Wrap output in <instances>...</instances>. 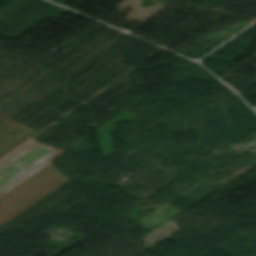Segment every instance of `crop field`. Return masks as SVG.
<instances>
[{
	"instance_id": "ac0d7876",
	"label": "crop field",
	"mask_w": 256,
	"mask_h": 256,
	"mask_svg": "<svg viewBox=\"0 0 256 256\" xmlns=\"http://www.w3.org/2000/svg\"><path fill=\"white\" fill-rule=\"evenodd\" d=\"M59 156V155H58ZM58 156L21 145L0 160V197L50 164Z\"/></svg>"
},
{
	"instance_id": "34b2d1b8",
	"label": "crop field",
	"mask_w": 256,
	"mask_h": 256,
	"mask_svg": "<svg viewBox=\"0 0 256 256\" xmlns=\"http://www.w3.org/2000/svg\"><path fill=\"white\" fill-rule=\"evenodd\" d=\"M38 132L8 118L0 122V159Z\"/></svg>"
},
{
	"instance_id": "412701ff",
	"label": "crop field",
	"mask_w": 256,
	"mask_h": 256,
	"mask_svg": "<svg viewBox=\"0 0 256 256\" xmlns=\"http://www.w3.org/2000/svg\"><path fill=\"white\" fill-rule=\"evenodd\" d=\"M25 144H29V145H32V146H35V147H39V148L45 149V150H47L49 152H52V153H54L56 155H59V156L62 155L63 153H65V152H63L61 150L53 149L51 147L44 146L42 144L36 143L34 141H31V140L27 141Z\"/></svg>"
},
{
	"instance_id": "8a807250",
	"label": "crop field",
	"mask_w": 256,
	"mask_h": 256,
	"mask_svg": "<svg viewBox=\"0 0 256 256\" xmlns=\"http://www.w3.org/2000/svg\"><path fill=\"white\" fill-rule=\"evenodd\" d=\"M68 181L66 176L57 172L50 164L19 186L17 185L18 187L0 198V228Z\"/></svg>"
}]
</instances>
